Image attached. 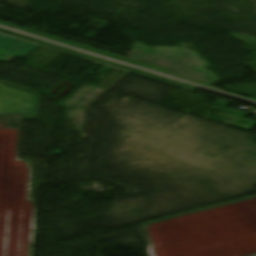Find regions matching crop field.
<instances>
[{"label": "crop field", "instance_id": "8a807250", "mask_svg": "<svg viewBox=\"0 0 256 256\" xmlns=\"http://www.w3.org/2000/svg\"><path fill=\"white\" fill-rule=\"evenodd\" d=\"M36 47L38 45L0 35V62H11L17 56L24 58Z\"/></svg>", "mask_w": 256, "mask_h": 256}]
</instances>
